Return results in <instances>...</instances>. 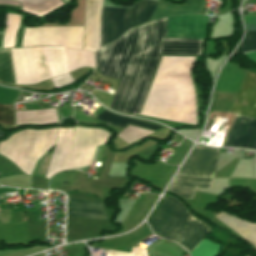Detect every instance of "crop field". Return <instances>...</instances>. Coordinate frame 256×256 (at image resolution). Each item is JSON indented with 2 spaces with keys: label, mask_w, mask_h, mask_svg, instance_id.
<instances>
[{
  "label": "crop field",
  "mask_w": 256,
  "mask_h": 256,
  "mask_svg": "<svg viewBox=\"0 0 256 256\" xmlns=\"http://www.w3.org/2000/svg\"><path fill=\"white\" fill-rule=\"evenodd\" d=\"M0 4H10V5H18V6H20L18 2L0 1Z\"/></svg>",
  "instance_id": "crop-field-22"
},
{
  "label": "crop field",
  "mask_w": 256,
  "mask_h": 256,
  "mask_svg": "<svg viewBox=\"0 0 256 256\" xmlns=\"http://www.w3.org/2000/svg\"><path fill=\"white\" fill-rule=\"evenodd\" d=\"M224 146L256 150V119L236 114Z\"/></svg>",
  "instance_id": "crop-field-7"
},
{
  "label": "crop field",
  "mask_w": 256,
  "mask_h": 256,
  "mask_svg": "<svg viewBox=\"0 0 256 256\" xmlns=\"http://www.w3.org/2000/svg\"><path fill=\"white\" fill-rule=\"evenodd\" d=\"M2 134L0 133V136H1Z\"/></svg>",
  "instance_id": "crop-field-24"
},
{
  "label": "crop field",
  "mask_w": 256,
  "mask_h": 256,
  "mask_svg": "<svg viewBox=\"0 0 256 256\" xmlns=\"http://www.w3.org/2000/svg\"><path fill=\"white\" fill-rule=\"evenodd\" d=\"M0 82L13 85L7 51H0Z\"/></svg>",
  "instance_id": "crop-field-17"
},
{
  "label": "crop field",
  "mask_w": 256,
  "mask_h": 256,
  "mask_svg": "<svg viewBox=\"0 0 256 256\" xmlns=\"http://www.w3.org/2000/svg\"><path fill=\"white\" fill-rule=\"evenodd\" d=\"M186 2L187 4L185 5L175 6L159 0L151 19L178 14L197 13L204 9V0H186Z\"/></svg>",
  "instance_id": "crop-field-12"
},
{
  "label": "crop field",
  "mask_w": 256,
  "mask_h": 256,
  "mask_svg": "<svg viewBox=\"0 0 256 256\" xmlns=\"http://www.w3.org/2000/svg\"><path fill=\"white\" fill-rule=\"evenodd\" d=\"M93 117H95V118H97V119H99V120H101V121H103L107 124H111V125L118 126V127H121V128H123L128 123L139 125V126H142V127L153 129V130L161 128V127H158V126L146 124V123L136 121V120H133V119L116 116V115H113V114H111V113H109L105 110L100 112L99 114L93 116Z\"/></svg>",
  "instance_id": "crop-field-15"
},
{
  "label": "crop field",
  "mask_w": 256,
  "mask_h": 256,
  "mask_svg": "<svg viewBox=\"0 0 256 256\" xmlns=\"http://www.w3.org/2000/svg\"><path fill=\"white\" fill-rule=\"evenodd\" d=\"M73 128L58 129L55 148L46 172V178L62 169H79L91 165L96 147L72 152Z\"/></svg>",
  "instance_id": "crop-field-4"
},
{
  "label": "crop field",
  "mask_w": 256,
  "mask_h": 256,
  "mask_svg": "<svg viewBox=\"0 0 256 256\" xmlns=\"http://www.w3.org/2000/svg\"><path fill=\"white\" fill-rule=\"evenodd\" d=\"M13 106L0 103V122L12 124Z\"/></svg>",
  "instance_id": "crop-field-19"
},
{
  "label": "crop field",
  "mask_w": 256,
  "mask_h": 256,
  "mask_svg": "<svg viewBox=\"0 0 256 256\" xmlns=\"http://www.w3.org/2000/svg\"><path fill=\"white\" fill-rule=\"evenodd\" d=\"M247 70L227 62L217 80L215 91L237 93Z\"/></svg>",
  "instance_id": "crop-field-9"
},
{
  "label": "crop field",
  "mask_w": 256,
  "mask_h": 256,
  "mask_svg": "<svg viewBox=\"0 0 256 256\" xmlns=\"http://www.w3.org/2000/svg\"><path fill=\"white\" fill-rule=\"evenodd\" d=\"M246 31H256V17L244 16Z\"/></svg>",
  "instance_id": "crop-field-21"
},
{
  "label": "crop field",
  "mask_w": 256,
  "mask_h": 256,
  "mask_svg": "<svg viewBox=\"0 0 256 256\" xmlns=\"http://www.w3.org/2000/svg\"><path fill=\"white\" fill-rule=\"evenodd\" d=\"M213 179L197 178L176 175L169 191H172L183 198L191 199L196 187L210 188Z\"/></svg>",
  "instance_id": "crop-field-11"
},
{
  "label": "crop field",
  "mask_w": 256,
  "mask_h": 256,
  "mask_svg": "<svg viewBox=\"0 0 256 256\" xmlns=\"http://www.w3.org/2000/svg\"><path fill=\"white\" fill-rule=\"evenodd\" d=\"M156 4L141 0L132 9L102 7L101 46L119 38L128 29L149 21Z\"/></svg>",
  "instance_id": "crop-field-3"
},
{
  "label": "crop field",
  "mask_w": 256,
  "mask_h": 256,
  "mask_svg": "<svg viewBox=\"0 0 256 256\" xmlns=\"http://www.w3.org/2000/svg\"><path fill=\"white\" fill-rule=\"evenodd\" d=\"M208 16L184 15L167 18V37L206 39Z\"/></svg>",
  "instance_id": "crop-field-5"
},
{
  "label": "crop field",
  "mask_w": 256,
  "mask_h": 256,
  "mask_svg": "<svg viewBox=\"0 0 256 256\" xmlns=\"http://www.w3.org/2000/svg\"><path fill=\"white\" fill-rule=\"evenodd\" d=\"M252 50H256V32H246V36L235 51V54Z\"/></svg>",
  "instance_id": "crop-field-18"
},
{
  "label": "crop field",
  "mask_w": 256,
  "mask_h": 256,
  "mask_svg": "<svg viewBox=\"0 0 256 256\" xmlns=\"http://www.w3.org/2000/svg\"><path fill=\"white\" fill-rule=\"evenodd\" d=\"M197 53L198 40L166 38V18L127 31L96 54L100 73L121 79L110 107L137 114L160 54Z\"/></svg>",
  "instance_id": "crop-field-1"
},
{
  "label": "crop field",
  "mask_w": 256,
  "mask_h": 256,
  "mask_svg": "<svg viewBox=\"0 0 256 256\" xmlns=\"http://www.w3.org/2000/svg\"><path fill=\"white\" fill-rule=\"evenodd\" d=\"M149 223L156 234L174 240L190 254L211 229L190 216L185 207L170 196Z\"/></svg>",
  "instance_id": "crop-field-2"
},
{
  "label": "crop field",
  "mask_w": 256,
  "mask_h": 256,
  "mask_svg": "<svg viewBox=\"0 0 256 256\" xmlns=\"http://www.w3.org/2000/svg\"><path fill=\"white\" fill-rule=\"evenodd\" d=\"M249 57L256 61V52L248 53Z\"/></svg>",
  "instance_id": "crop-field-23"
},
{
  "label": "crop field",
  "mask_w": 256,
  "mask_h": 256,
  "mask_svg": "<svg viewBox=\"0 0 256 256\" xmlns=\"http://www.w3.org/2000/svg\"><path fill=\"white\" fill-rule=\"evenodd\" d=\"M20 1L22 9L37 16H43L64 4L60 0H16Z\"/></svg>",
  "instance_id": "crop-field-14"
},
{
  "label": "crop field",
  "mask_w": 256,
  "mask_h": 256,
  "mask_svg": "<svg viewBox=\"0 0 256 256\" xmlns=\"http://www.w3.org/2000/svg\"><path fill=\"white\" fill-rule=\"evenodd\" d=\"M219 149L196 146L181 167L179 173L200 177H214Z\"/></svg>",
  "instance_id": "crop-field-6"
},
{
  "label": "crop field",
  "mask_w": 256,
  "mask_h": 256,
  "mask_svg": "<svg viewBox=\"0 0 256 256\" xmlns=\"http://www.w3.org/2000/svg\"><path fill=\"white\" fill-rule=\"evenodd\" d=\"M106 256H147V254L145 249H138L133 247L131 254L119 253V252L108 250Z\"/></svg>",
  "instance_id": "crop-field-20"
},
{
  "label": "crop field",
  "mask_w": 256,
  "mask_h": 256,
  "mask_svg": "<svg viewBox=\"0 0 256 256\" xmlns=\"http://www.w3.org/2000/svg\"><path fill=\"white\" fill-rule=\"evenodd\" d=\"M19 18L20 16L18 15L6 13V26L3 48L13 46L16 30L19 24Z\"/></svg>",
  "instance_id": "crop-field-16"
},
{
  "label": "crop field",
  "mask_w": 256,
  "mask_h": 256,
  "mask_svg": "<svg viewBox=\"0 0 256 256\" xmlns=\"http://www.w3.org/2000/svg\"><path fill=\"white\" fill-rule=\"evenodd\" d=\"M68 215L106 220L104 202L69 198Z\"/></svg>",
  "instance_id": "crop-field-10"
},
{
  "label": "crop field",
  "mask_w": 256,
  "mask_h": 256,
  "mask_svg": "<svg viewBox=\"0 0 256 256\" xmlns=\"http://www.w3.org/2000/svg\"><path fill=\"white\" fill-rule=\"evenodd\" d=\"M108 134L98 129H74L73 151L105 143Z\"/></svg>",
  "instance_id": "crop-field-13"
},
{
  "label": "crop field",
  "mask_w": 256,
  "mask_h": 256,
  "mask_svg": "<svg viewBox=\"0 0 256 256\" xmlns=\"http://www.w3.org/2000/svg\"><path fill=\"white\" fill-rule=\"evenodd\" d=\"M232 112L256 117V75L246 73L238 95L232 105Z\"/></svg>",
  "instance_id": "crop-field-8"
}]
</instances>
